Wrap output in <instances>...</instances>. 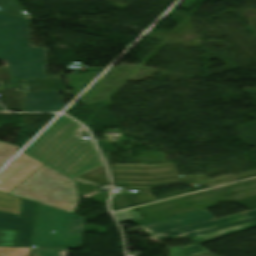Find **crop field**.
I'll return each instance as SVG.
<instances>
[{"instance_id":"dafd665d","label":"crop field","mask_w":256,"mask_h":256,"mask_svg":"<svg viewBox=\"0 0 256 256\" xmlns=\"http://www.w3.org/2000/svg\"><path fill=\"white\" fill-rule=\"evenodd\" d=\"M30 249L0 248V256H29Z\"/></svg>"},{"instance_id":"4a817a6b","label":"crop field","mask_w":256,"mask_h":256,"mask_svg":"<svg viewBox=\"0 0 256 256\" xmlns=\"http://www.w3.org/2000/svg\"><path fill=\"white\" fill-rule=\"evenodd\" d=\"M67 249H32L31 256H66Z\"/></svg>"},{"instance_id":"3316defc","label":"crop field","mask_w":256,"mask_h":256,"mask_svg":"<svg viewBox=\"0 0 256 256\" xmlns=\"http://www.w3.org/2000/svg\"><path fill=\"white\" fill-rule=\"evenodd\" d=\"M34 219L0 212V228L17 230L15 246H30Z\"/></svg>"},{"instance_id":"4177f3b9","label":"crop field","mask_w":256,"mask_h":256,"mask_svg":"<svg viewBox=\"0 0 256 256\" xmlns=\"http://www.w3.org/2000/svg\"><path fill=\"white\" fill-rule=\"evenodd\" d=\"M0 111H4L3 108L0 106Z\"/></svg>"},{"instance_id":"d8731c3e","label":"crop field","mask_w":256,"mask_h":256,"mask_svg":"<svg viewBox=\"0 0 256 256\" xmlns=\"http://www.w3.org/2000/svg\"><path fill=\"white\" fill-rule=\"evenodd\" d=\"M67 179L69 178L44 165L22 182L11 194L24 197Z\"/></svg>"},{"instance_id":"d9b57169","label":"crop field","mask_w":256,"mask_h":256,"mask_svg":"<svg viewBox=\"0 0 256 256\" xmlns=\"http://www.w3.org/2000/svg\"><path fill=\"white\" fill-rule=\"evenodd\" d=\"M0 81H2L3 89L19 87L20 91H25V81L12 80L7 68L0 69Z\"/></svg>"},{"instance_id":"34b2d1b8","label":"crop field","mask_w":256,"mask_h":256,"mask_svg":"<svg viewBox=\"0 0 256 256\" xmlns=\"http://www.w3.org/2000/svg\"><path fill=\"white\" fill-rule=\"evenodd\" d=\"M113 183L127 187H159L179 183L215 185L231 180L256 175V171L207 180L205 175L178 177L173 163L109 165Z\"/></svg>"},{"instance_id":"5a996713","label":"crop field","mask_w":256,"mask_h":256,"mask_svg":"<svg viewBox=\"0 0 256 256\" xmlns=\"http://www.w3.org/2000/svg\"><path fill=\"white\" fill-rule=\"evenodd\" d=\"M215 217L210 214L206 209L184 214L181 216L161 220L158 222L138 226L139 228L143 229L149 234L181 227V226H186L210 219H214Z\"/></svg>"},{"instance_id":"00972430","label":"crop field","mask_w":256,"mask_h":256,"mask_svg":"<svg viewBox=\"0 0 256 256\" xmlns=\"http://www.w3.org/2000/svg\"><path fill=\"white\" fill-rule=\"evenodd\" d=\"M102 152L114 151L110 143H106L105 140L97 141Z\"/></svg>"},{"instance_id":"22f410ed","label":"crop field","mask_w":256,"mask_h":256,"mask_svg":"<svg viewBox=\"0 0 256 256\" xmlns=\"http://www.w3.org/2000/svg\"><path fill=\"white\" fill-rule=\"evenodd\" d=\"M4 106L9 111H23L24 93L16 92V89L0 90Z\"/></svg>"},{"instance_id":"dd49c442","label":"crop field","mask_w":256,"mask_h":256,"mask_svg":"<svg viewBox=\"0 0 256 256\" xmlns=\"http://www.w3.org/2000/svg\"><path fill=\"white\" fill-rule=\"evenodd\" d=\"M24 198L52 205L73 212L79 200L75 182L72 179L41 190Z\"/></svg>"},{"instance_id":"a9b5d70f","label":"crop field","mask_w":256,"mask_h":256,"mask_svg":"<svg viewBox=\"0 0 256 256\" xmlns=\"http://www.w3.org/2000/svg\"><path fill=\"white\" fill-rule=\"evenodd\" d=\"M194 256H214V255L206 252V253H202V254H198V255H194Z\"/></svg>"},{"instance_id":"733c2abd","label":"crop field","mask_w":256,"mask_h":256,"mask_svg":"<svg viewBox=\"0 0 256 256\" xmlns=\"http://www.w3.org/2000/svg\"><path fill=\"white\" fill-rule=\"evenodd\" d=\"M19 147L0 142V167L3 166L13 155L18 152Z\"/></svg>"},{"instance_id":"e52e79f7","label":"crop field","mask_w":256,"mask_h":256,"mask_svg":"<svg viewBox=\"0 0 256 256\" xmlns=\"http://www.w3.org/2000/svg\"><path fill=\"white\" fill-rule=\"evenodd\" d=\"M43 165L44 164L22 152L0 172V191L10 193L29 175Z\"/></svg>"},{"instance_id":"412701ff","label":"crop field","mask_w":256,"mask_h":256,"mask_svg":"<svg viewBox=\"0 0 256 256\" xmlns=\"http://www.w3.org/2000/svg\"><path fill=\"white\" fill-rule=\"evenodd\" d=\"M256 227V209L238 214L181 227L157 234L156 239H164L183 234L198 244ZM198 244L170 249V256H189L208 251Z\"/></svg>"},{"instance_id":"f4fd0767","label":"crop field","mask_w":256,"mask_h":256,"mask_svg":"<svg viewBox=\"0 0 256 256\" xmlns=\"http://www.w3.org/2000/svg\"><path fill=\"white\" fill-rule=\"evenodd\" d=\"M84 218L39 204L33 245L77 248L81 246ZM55 231V234H51Z\"/></svg>"},{"instance_id":"214f88e0","label":"crop field","mask_w":256,"mask_h":256,"mask_svg":"<svg viewBox=\"0 0 256 256\" xmlns=\"http://www.w3.org/2000/svg\"><path fill=\"white\" fill-rule=\"evenodd\" d=\"M36 203L22 199L19 215L23 217H34Z\"/></svg>"},{"instance_id":"d1516ede","label":"crop field","mask_w":256,"mask_h":256,"mask_svg":"<svg viewBox=\"0 0 256 256\" xmlns=\"http://www.w3.org/2000/svg\"><path fill=\"white\" fill-rule=\"evenodd\" d=\"M65 90L61 78L26 79V92Z\"/></svg>"},{"instance_id":"5142ce71","label":"crop field","mask_w":256,"mask_h":256,"mask_svg":"<svg viewBox=\"0 0 256 256\" xmlns=\"http://www.w3.org/2000/svg\"><path fill=\"white\" fill-rule=\"evenodd\" d=\"M20 204L19 198L0 192V211L18 214Z\"/></svg>"},{"instance_id":"8a807250","label":"crop field","mask_w":256,"mask_h":256,"mask_svg":"<svg viewBox=\"0 0 256 256\" xmlns=\"http://www.w3.org/2000/svg\"><path fill=\"white\" fill-rule=\"evenodd\" d=\"M84 127L61 115L23 152L72 178L103 165L92 141L78 137Z\"/></svg>"},{"instance_id":"28ad6ade","label":"crop field","mask_w":256,"mask_h":256,"mask_svg":"<svg viewBox=\"0 0 256 256\" xmlns=\"http://www.w3.org/2000/svg\"><path fill=\"white\" fill-rule=\"evenodd\" d=\"M65 107L56 91L27 93L25 111H61Z\"/></svg>"},{"instance_id":"92a150f3","label":"crop field","mask_w":256,"mask_h":256,"mask_svg":"<svg viewBox=\"0 0 256 256\" xmlns=\"http://www.w3.org/2000/svg\"><path fill=\"white\" fill-rule=\"evenodd\" d=\"M115 216L118 219L119 223L141 218L133 209L115 213Z\"/></svg>"},{"instance_id":"cbeb9de0","label":"crop field","mask_w":256,"mask_h":256,"mask_svg":"<svg viewBox=\"0 0 256 256\" xmlns=\"http://www.w3.org/2000/svg\"><path fill=\"white\" fill-rule=\"evenodd\" d=\"M0 12L6 15L29 19L28 14L17 4L15 0H0Z\"/></svg>"},{"instance_id":"bc2a9ffb","label":"crop field","mask_w":256,"mask_h":256,"mask_svg":"<svg viewBox=\"0 0 256 256\" xmlns=\"http://www.w3.org/2000/svg\"><path fill=\"white\" fill-rule=\"evenodd\" d=\"M16 231L0 229V246H14Z\"/></svg>"},{"instance_id":"ac0d7876","label":"crop field","mask_w":256,"mask_h":256,"mask_svg":"<svg viewBox=\"0 0 256 256\" xmlns=\"http://www.w3.org/2000/svg\"><path fill=\"white\" fill-rule=\"evenodd\" d=\"M0 59L14 79L46 77V49L28 44V20L0 14Z\"/></svg>"}]
</instances>
